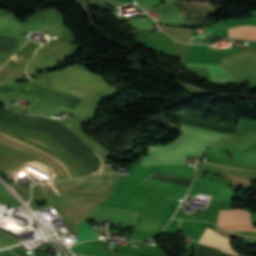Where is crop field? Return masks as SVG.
Returning <instances> with one entry per match:
<instances>
[{
  "label": "crop field",
  "instance_id": "1",
  "mask_svg": "<svg viewBox=\"0 0 256 256\" xmlns=\"http://www.w3.org/2000/svg\"><path fill=\"white\" fill-rule=\"evenodd\" d=\"M183 135L166 146H149V156L142 157L141 165L185 163L187 154L198 156L210 144L235 134L215 132L199 127L180 124Z\"/></svg>",
  "mask_w": 256,
  "mask_h": 256
},
{
  "label": "crop field",
  "instance_id": "2",
  "mask_svg": "<svg viewBox=\"0 0 256 256\" xmlns=\"http://www.w3.org/2000/svg\"><path fill=\"white\" fill-rule=\"evenodd\" d=\"M113 174L87 178L71 179L41 184L49 193L109 186L112 185Z\"/></svg>",
  "mask_w": 256,
  "mask_h": 256
},
{
  "label": "crop field",
  "instance_id": "3",
  "mask_svg": "<svg viewBox=\"0 0 256 256\" xmlns=\"http://www.w3.org/2000/svg\"><path fill=\"white\" fill-rule=\"evenodd\" d=\"M192 73H203L206 79L216 84L234 83L236 79L222 66V63L187 60L185 69Z\"/></svg>",
  "mask_w": 256,
  "mask_h": 256
},
{
  "label": "crop field",
  "instance_id": "4",
  "mask_svg": "<svg viewBox=\"0 0 256 256\" xmlns=\"http://www.w3.org/2000/svg\"><path fill=\"white\" fill-rule=\"evenodd\" d=\"M217 224L231 231L255 230L250 221V213L242 209L219 210Z\"/></svg>",
  "mask_w": 256,
  "mask_h": 256
},
{
  "label": "crop field",
  "instance_id": "5",
  "mask_svg": "<svg viewBox=\"0 0 256 256\" xmlns=\"http://www.w3.org/2000/svg\"><path fill=\"white\" fill-rule=\"evenodd\" d=\"M138 214V212L116 209L111 207H96L81 222L104 220L133 225Z\"/></svg>",
  "mask_w": 256,
  "mask_h": 256
},
{
  "label": "crop field",
  "instance_id": "6",
  "mask_svg": "<svg viewBox=\"0 0 256 256\" xmlns=\"http://www.w3.org/2000/svg\"><path fill=\"white\" fill-rule=\"evenodd\" d=\"M229 240L230 238L220 236L219 234L215 233L212 229L207 228L206 231L203 233L202 237L200 238L199 242L237 256L238 254L230 246Z\"/></svg>",
  "mask_w": 256,
  "mask_h": 256
},
{
  "label": "crop field",
  "instance_id": "7",
  "mask_svg": "<svg viewBox=\"0 0 256 256\" xmlns=\"http://www.w3.org/2000/svg\"><path fill=\"white\" fill-rule=\"evenodd\" d=\"M138 184L169 191V192H174L182 195H185L186 191L188 190L187 187H182V186H177V185H172V184H167V183H162V182H157V181H152L147 179L142 180Z\"/></svg>",
  "mask_w": 256,
  "mask_h": 256
},
{
  "label": "crop field",
  "instance_id": "8",
  "mask_svg": "<svg viewBox=\"0 0 256 256\" xmlns=\"http://www.w3.org/2000/svg\"><path fill=\"white\" fill-rule=\"evenodd\" d=\"M96 238L97 236L88 224V222L79 224L78 237L76 243Z\"/></svg>",
  "mask_w": 256,
  "mask_h": 256
},
{
  "label": "crop field",
  "instance_id": "9",
  "mask_svg": "<svg viewBox=\"0 0 256 256\" xmlns=\"http://www.w3.org/2000/svg\"><path fill=\"white\" fill-rule=\"evenodd\" d=\"M128 24L138 27V28H152L153 24L149 21V19L146 17L144 19L141 20H137V21H131V22H127Z\"/></svg>",
  "mask_w": 256,
  "mask_h": 256
}]
</instances>
